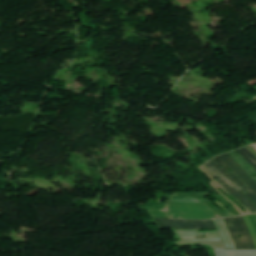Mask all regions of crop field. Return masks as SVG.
<instances>
[{"mask_svg":"<svg viewBox=\"0 0 256 256\" xmlns=\"http://www.w3.org/2000/svg\"><path fill=\"white\" fill-rule=\"evenodd\" d=\"M224 240L226 249H236L222 219L214 220Z\"/></svg>","mask_w":256,"mask_h":256,"instance_id":"7","label":"crop field"},{"mask_svg":"<svg viewBox=\"0 0 256 256\" xmlns=\"http://www.w3.org/2000/svg\"><path fill=\"white\" fill-rule=\"evenodd\" d=\"M256 243V214L243 216Z\"/></svg>","mask_w":256,"mask_h":256,"instance_id":"9","label":"crop field"},{"mask_svg":"<svg viewBox=\"0 0 256 256\" xmlns=\"http://www.w3.org/2000/svg\"><path fill=\"white\" fill-rule=\"evenodd\" d=\"M181 240L176 241L177 244L199 241H222L218 232H199L197 230H175ZM206 235L208 238L200 239Z\"/></svg>","mask_w":256,"mask_h":256,"instance_id":"5","label":"crop field"},{"mask_svg":"<svg viewBox=\"0 0 256 256\" xmlns=\"http://www.w3.org/2000/svg\"><path fill=\"white\" fill-rule=\"evenodd\" d=\"M217 205H219L223 210H225L230 216H234L231 212H229L221 203L215 202Z\"/></svg>","mask_w":256,"mask_h":256,"instance_id":"11","label":"crop field"},{"mask_svg":"<svg viewBox=\"0 0 256 256\" xmlns=\"http://www.w3.org/2000/svg\"><path fill=\"white\" fill-rule=\"evenodd\" d=\"M213 164L217 167V169L222 173L224 174L230 181V182L224 175H222L217 169L216 167L212 164ZM210 162L206 163L205 165H203L210 173L212 172H215L217 175H219L226 183L227 185L231 188L233 186V188H229L225 182L219 177L217 176L215 173H213L212 175L214 176V178L221 184V186L227 190L230 194H232L234 197H236L239 201H241L249 210L251 213H254L256 212V199L246 190L244 189L242 186H240L236 181L235 179L228 175L213 159L211 160ZM255 203L253 204L250 199Z\"/></svg>","mask_w":256,"mask_h":256,"instance_id":"1","label":"crop field"},{"mask_svg":"<svg viewBox=\"0 0 256 256\" xmlns=\"http://www.w3.org/2000/svg\"><path fill=\"white\" fill-rule=\"evenodd\" d=\"M256 149V144L252 145Z\"/></svg>","mask_w":256,"mask_h":256,"instance_id":"12","label":"crop field"},{"mask_svg":"<svg viewBox=\"0 0 256 256\" xmlns=\"http://www.w3.org/2000/svg\"><path fill=\"white\" fill-rule=\"evenodd\" d=\"M163 220L164 222H157L161 229L174 227V229H208L216 228L213 220L206 221H189L177 219H154Z\"/></svg>","mask_w":256,"mask_h":256,"instance_id":"4","label":"crop field"},{"mask_svg":"<svg viewBox=\"0 0 256 256\" xmlns=\"http://www.w3.org/2000/svg\"><path fill=\"white\" fill-rule=\"evenodd\" d=\"M223 220L237 249H256L255 243L242 216ZM241 233L243 236L238 239L237 236Z\"/></svg>","mask_w":256,"mask_h":256,"instance_id":"2","label":"crop field"},{"mask_svg":"<svg viewBox=\"0 0 256 256\" xmlns=\"http://www.w3.org/2000/svg\"><path fill=\"white\" fill-rule=\"evenodd\" d=\"M208 192H177L172 194L169 202H209L204 196H209Z\"/></svg>","mask_w":256,"mask_h":256,"instance_id":"6","label":"crop field"},{"mask_svg":"<svg viewBox=\"0 0 256 256\" xmlns=\"http://www.w3.org/2000/svg\"><path fill=\"white\" fill-rule=\"evenodd\" d=\"M229 155L254 179L256 180V177L251 173V171L256 175L255 169L242 157L240 156L236 151L229 153ZM251 170H249V169Z\"/></svg>","mask_w":256,"mask_h":256,"instance_id":"8","label":"crop field"},{"mask_svg":"<svg viewBox=\"0 0 256 256\" xmlns=\"http://www.w3.org/2000/svg\"><path fill=\"white\" fill-rule=\"evenodd\" d=\"M214 159L228 173L231 174V172L224 166L223 163H225L245 184L240 179H238L234 174L231 175L256 198V182L250 176H248L228 154L216 157Z\"/></svg>","mask_w":256,"mask_h":256,"instance_id":"3","label":"crop field"},{"mask_svg":"<svg viewBox=\"0 0 256 256\" xmlns=\"http://www.w3.org/2000/svg\"><path fill=\"white\" fill-rule=\"evenodd\" d=\"M237 152L256 168V157H254L246 148L237 150Z\"/></svg>","mask_w":256,"mask_h":256,"instance_id":"10","label":"crop field"}]
</instances>
